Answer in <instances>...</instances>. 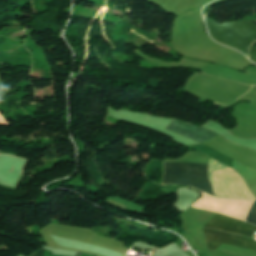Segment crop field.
I'll use <instances>...</instances> for the list:
<instances>
[{"mask_svg": "<svg viewBox=\"0 0 256 256\" xmlns=\"http://www.w3.org/2000/svg\"><path fill=\"white\" fill-rule=\"evenodd\" d=\"M246 221L256 225V202L254 201Z\"/></svg>", "mask_w": 256, "mask_h": 256, "instance_id": "crop-field-6", "label": "crop field"}, {"mask_svg": "<svg viewBox=\"0 0 256 256\" xmlns=\"http://www.w3.org/2000/svg\"><path fill=\"white\" fill-rule=\"evenodd\" d=\"M203 229V228H202ZM207 249L215 251L227 238L228 234L208 229H203ZM224 244L256 251V241L230 234Z\"/></svg>", "mask_w": 256, "mask_h": 256, "instance_id": "crop-field-3", "label": "crop field"}, {"mask_svg": "<svg viewBox=\"0 0 256 256\" xmlns=\"http://www.w3.org/2000/svg\"><path fill=\"white\" fill-rule=\"evenodd\" d=\"M205 21L212 38L242 51L247 56V48L256 39V26L251 21L227 22L221 25L208 18Z\"/></svg>", "mask_w": 256, "mask_h": 256, "instance_id": "crop-field-1", "label": "crop field"}, {"mask_svg": "<svg viewBox=\"0 0 256 256\" xmlns=\"http://www.w3.org/2000/svg\"><path fill=\"white\" fill-rule=\"evenodd\" d=\"M255 44H256V42L253 43L252 46L250 47L249 59L256 63V48L253 47Z\"/></svg>", "mask_w": 256, "mask_h": 256, "instance_id": "crop-field-7", "label": "crop field"}, {"mask_svg": "<svg viewBox=\"0 0 256 256\" xmlns=\"http://www.w3.org/2000/svg\"><path fill=\"white\" fill-rule=\"evenodd\" d=\"M167 130L185 135L199 143H202V142L206 141L207 139L216 135L210 131H207V130H204L199 127L189 125V124H186L183 122H179L176 120H174L171 123V125L167 128Z\"/></svg>", "mask_w": 256, "mask_h": 256, "instance_id": "crop-field-5", "label": "crop field"}, {"mask_svg": "<svg viewBox=\"0 0 256 256\" xmlns=\"http://www.w3.org/2000/svg\"><path fill=\"white\" fill-rule=\"evenodd\" d=\"M207 165L203 163H164L162 184H186L213 195L207 178Z\"/></svg>", "mask_w": 256, "mask_h": 256, "instance_id": "crop-field-2", "label": "crop field"}, {"mask_svg": "<svg viewBox=\"0 0 256 256\" xmlns=\"http://www.w3.org/2000/svg\"><path fill=\"white\" fill-rule=\"evenodd\" d=\"M204 228L225 231L227 233L241 234L252 237L256 231V227L217 214L213 217ZM254 237V236H253Z\"/></svg>", "mask_w": 256, "mask_h": 256, "instance_id": "crop-field-4", "label": "crop field"}, {"mask_svg": "<svg viewBox=\"0 0 256 256\" xmlns=\"http://www.w3.org/2000/svg\"><path fill=\"white\" fill-rule=\"evenodd\" d=\"M30 256H44V250L40 248L38 251H36Z\"/></svg>", "mask_w": 256, "mask_h": 256, "instance_id": "crop-field-8", "label": "crop field"}]
</instances>
